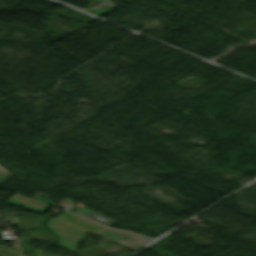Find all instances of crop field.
<instances>
[{"label":"crop field","instance_id":"7","mask_svg":"<svg viewBox=\"0 0 256 256\" xmlns=\"http://www.w3.org/2000/svg\"><path fill=\"white\" fill-rule=\"evenodd\" d=\"M5 173H7V171L6 170H4L2 167H0V174H5Z\"/></svg>","mask_w":256,"mask_h":256},{"label":"crop field","instance_id":"3","mask_svg":"<svg viewBox=\"0 0 256 256\" xmlns=\"http://www.w3.org/2000/svg\"><path fill=\"white\" fill-rule=\"evenodd\" d=\"M14 198H17V199H20L22 201L28 202L30 204L19 201V200H16ZM7 203L12 204V205L21 206V207H24L26 209H30V210H34V211H38V212H42V213H44L45 210L48 208V205L42 204L40 202L31 200V199H28V198H25V197L17 195V194H15ZM33 204L38 205L40 207L35 206Z\"/></svg>","mask_w":256,"mask_h":256},{"label":"crop field","instance_id":"1","mask_svg":"<svg viewBox=\"0 0 256 256\" xmlns=\"http://www.w3.org/2000/svg\"><path fill=\"white\" fill-rule=\"evenodd\" d=\"M46 227L53 231L60 239L58 245L68 248L72 251H74L79 243L83 240V238L89 234L88 232L66 224L55 218L50 219L47 222Z\"/></svg>","mask_w":256,"mask_h":256},{"label":"crop field","instance_id":"6","mask_svg":"<svg viewBox=\"0 0 256 256\" xmlns=\"http://www.w3.org/2000/svg\"><path fill=\"white\" fill-rule=\"evenodd\" d=\"M10 176H12L11 174H6V175H4V176H2V175H0V183L2 182V181H4V180H6L7 178H9Z\"/></svg>","mask_w":256,"mask_h":256},{"label":"crop field","instance_id":"5","mask_svg":"<svg viewBox=\"0 0 256 256\" xmlns=\"http://www.w3.org/2000/svg\"><path fill=\"white\" fill-rule=\"evenodd\" d=\"M32 199H35V200H37V201H40V202H43V203L49 204V205L54 206V207L58 206V205H56V204H54V203H51V202L46 201V200H43V199L38 198V197H36V196H34Z\"/></svg>","mask_w":256,"mask_h":256},{"label":"crop field","instance_id":"4","mask_svg":"<svg viewBox=\"0 0 256 256\" xmlns=\"http://www.w3.org/2000/svg\"><path fill=\"white\" fill-rule=\"evenodd\" d=\"M86 211H88V213ZM74 212H76V213H78V214H80V215H82L84 217H87V218H89V219H91V220H93V221H95L97 223L104 224V225H107V226H110L113 223L117 222V221H115L113 219L105 217V216H103L101 214L93 212V211H91L89 209H86L84 207H82V208H80V209H78V210H76Z\"/></svg>","mask_w":256,"mask_h":256},{"label":"crop field","instance_id":"2","mask_svg":"<svg viewBox=\"0 0 256 256\" xmlns=\"http://www.w3.org/2000/svg\"><path fill=\"white\" fill-rule=\"evenodd\" d=\"M100 231L120 239L119 241H115V242L125 246L128 249H136V248L144 245L146 242L150 241V239H147V238H143L140 236L132 235V234L121 232V231L110 230L107 228L104 230H100ZM125 238H127L129 240L126 241V240H124ZM132 241H136V242L133 243Z\"/></svg>","mask_w":256,"mask_h":256}]
</instances>
